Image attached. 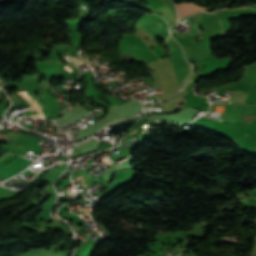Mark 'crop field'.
Returning <instances> with one entry per match:
<instances>
[{"mask_svg":"<svg viewBox=\"0 0 256 256\" xmlns=\"http://www.w3.org/2000/svg\"><path fill=\"white\" fill-rule=\"evenodd\" d=\"M140 27L144 28L154 36L166 40L169 32L167 31L166 23H152V24H143Z\"/></svg>","mask_w":256,"mask_h":256,"instance_id":"ac0d7876","label":"crop field"},{"mask_svg":"<svg viewBox=\"0 0 256 256\" xmlns=\"http://www.w3.org/2000/svg\"><path fill=\"white\" fill-rule=\"evenodd\" d=\"M129 45H133L134 47H130ZM119 49L120 52L138 53L146 59L147 62L158 59L150 50H148L147 46L139 41L134 35H123Z\"/></svg>","mask_w":256,"mask_h":256,"instance_id":"8a807250","label":"crop field"},{"mask_svg":"<svg viewBox=\"0 0 256 256\" xmlns=\"http://www.w3.org/2000/svg\"><path fill=\"white\" fill-rule=\"evenodd\" d=\"M167 45L170 51L178 48L177 43L171 37L168 38Z\"/></svg>","mask_w":256,"mask_h":256,"instance_id":"412701ff","label":"crop field"},{"mask_svg":"<svg viewBox=\"0 0 256 256\" xmlns=\"http://www.w3.org/2000/svg\"><path fill=\"white\" fill-rule=\"evenodd\" d=\"M186 4H188V3H186ZM176 5H180V4H176Z\"/></svg>","mask_w":256,"mask_h":256,"instance_id":"f4fd0767","label":"crop field"},{"mask_svg":"<svg viewBox=\"0 0 256 256\" xmlns=\"http://www.w3.org/2000/svg\"><path fill=\"white\" fill-rule=\"evenodd\" d=\"M200 16L201 14L187 18L188 22L192 25V28L186 34L197 35L199 31L198 23H199ZM182 21L184 20H181L180 22Z\"/></svg>","mask_w":256,"mask_h":256,"instance_id":"34b2d1b8","label":"crop field"}]
</instances>
